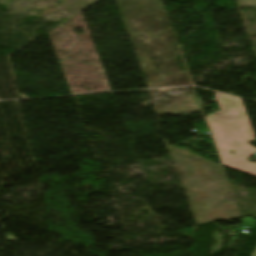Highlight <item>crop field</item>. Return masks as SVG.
Returning <instances> with one entry per match:
<instances>
[{"label":"crop field","mask_w":256,"mask_h":256,"mask_svg":"<svg viewBox=\"0 0 256 256\" xmlns=\"http://www.w3.org/2000/svg\"><path fill=\"white\" fill-rule=\"evenodd\" d=\"M219 99L230 103L235 115L205 119L219 152L222 164L232 169L256 176V164L246 158L256 152L248 141L255 140L242 101L221 94ZM238 142V144L235 143ZM229 150H234L231 155Z\"/></svg>","instance_id":"obj_1"},{"label":"crop field","mask_w":256,"mask_h":256,"mask_svg":"<svg viewBox=\"0 0 256 256\" xmlns=\"http://www.w3.org/2000/svg\"><path fill=\"white\" fill-rule=\"evenodd\" d=\"M218 104H219V107L221 109L220 112L214 114V115H211V116H207L205 118H208V117H214V116H225V115H231V114H234L233 111H232V108L229 104H227L225 101H222V100H217Z\"/></svg>","instance_id":"obj_2"},{"label":"crop field","mask_w":256,"mask_h":256,"mask_svg":"<svg viewBox=\"0 0 256 256\" xmlns=\"http://www.w3.org/2000/svg\"><path fill=\"white\" fill-rule=\"evenodd\" d=\"M252 256H256V249H255V251H254V253H253V255Z\"/></svg>","instance_id":"obj_3"}]
</instances>
